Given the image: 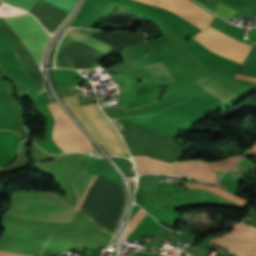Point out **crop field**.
I'll list each match as a JSON object with an SVG mask.
<instances>
[{
    "instance_id": "obj_1",
    "label": "crop field",
    "mask_w": 256,
    "mask_h": 256,
    "mask_svg": "<svg viewBox=\"0 0 256 256\" xmlns=\"http://www.w3.org/2000/svg\"><path fill=\"white\" fill-rule=\"evenodd\" d=\"M11 208L24 212L75 216L77 210L66 200L51 192H18L11 197ZM10 209L6 215L22 219L67 223L73 217L29 214Z\"/></svg>"
},
{
    "instance_id": "obj_2",
    "label": "crop field",
    "mask_w": 256,
    "mask_h": 256,
    "mask_svg": "<svg viewBox=\"0 0 256 256\" xmlns=\"http://www.w3.org/2000/svg\"><path fill=\"white\" fill-rule=\"evenodd\" d=\"M65 104L76 114V116L81 120V122L84 124V126L87 128V130L90 132V134L94 137V139L99 142L102 147L110 154V155H115V154H124L128 153L126 150V147L118 135L116 129L112 126V124L107 120V118L104 116V114L101 112L99 109L98 103L95 104H89V105H83V109L80 106L78 100L76 97H66L63 98Z\"/></svg>"
},
{
    "instance_id": "obj_3",
    "label": "crop field",
    "mask_w": 256,
    "mask_h": 256,
    "mask_svg": "<svg viewBox=\"0 0 256 256\" xmlns=\"http://www.w3.org/2000/svg\"><path fill=\"white\" fill-rule=\"evenodd\" d=\"M53 113L56 123L52 132V138L56 144L65 152L83 151L93 149L92 144L74 124V122L62 111L59 105L54 102L48 104Z\"/></svg>"
},
{
    "instance_id": "obj_4",
    "label": "crop field",
    "mask_w": 256,
    "mask_h": 256,
    "mask_svg": "<svg viewBox=\"0 0 256 256\" xmlns=\"http://www.w3.org/2000/svg\"><path fill=\"white\" fill-rule=\"evenodd\" d=\"M3 19L14 30L39 66L44 47L50 38L44 28L33 16L27 13Z\"/></svg>"
},
{
    "instance_id": "obj_5",
    "label": "crop field",
    "mask_w": 256,
    "mask_h": 256,
    "mask_svg": "<svg viewBox=\"0 0 256 256\" xmlns=\"http://www.w3.org/2000/svg\"><path fill=\"white\" fill-rule=\"evenodd\" d=\"M192 39L218 55L241 64H243L250 49V46L240 43L209 26Z\"/></svg>"
},
{
    "instance_id": "obj_6",
    "label": "crop field",
    "mask_w": 256,
    "mask_h": 256,
    "mask_svg": "<svg viewBox=\"0 0 256 256\" xmlns=\"http://www.w3.org/2000/svg\"><path fill=\"white\" fill-rule=\"evenodd\" d=\"M211 244L237 256L256 253V227L239 223L230 232L211 241Z\"/></svg>"
},
{
    "instance_id": "obj_7",
    "label": "crop field",
    "mask_w": 256,
    "mask_h": 256,
    "mask_svg": "<svg viewBox=\"0 0 256 256\" xmlns=\"http://www.w3.org/2000/svg\"><path fill=\"white\" fill-rule=\"evenodd\" d=\"M155 6L176 12L197 33L203 31L213 17L190 0H158Z\"/></svg>"
},
{
    "instance_id": "obj_8",
    "label": "crop field",
    "mask_w": 256,
    "mask_h": 256,
    "mask_svg": "<svg viewBox=\"0 0 256 256\" xmlns=\"http://www.w3.org/2000/svg\"><path fill=\"white\" fill-rule=\"evenodd\" d=\"M237 159L234 156L215 163H202L198 160L175 162L171 164V173L190 176L201 181L214 182L215 171L232 168Z\"/></svg>"
},
{
    "instance_id": "obj_9",
    "label": "crop field",
    "mask_w": 256,
    "mask_h": 256,
    "mask_svg": "<svg viewBox=\"0 0 256 256\" xmlns=\"http://www.w3.org/2000/svg\"><path fill=\"white\" fill-rule=\"evenodd\" d=\"M96 177V175H93V174H90L88 173L86 170L80 174L75 180L74 182L72 183V188L74 189L76 195H77V202L76 204L74 205L77 209H79V206H80V203H81V200H82V197H83V194H84V191L85 189L88 187V185L94 180V178ZM100 177L97 176L95 178V180L89 185V187L86 189L85 191V194H84V197H83V200H82V203H81V206H80V211H84V208H85V204H86V201H87V198H88V194H89V191L90 189L93 187V185L98 181ZM123 189V193H124V201H123V207L117 217V220H116V223H115V226H114V229L112 231L111 234H114L115 230L117 229V226H118V222H119V219H120V216H121V213L125 207V204H126V191L124 188Z\"/></svg>"
},
{
    "instance_id": "obj_10",
    "label": "crop field",
    "mask_w": 256,
    "mask_h": 256,
    "mask_svg": "<svg viewBox=\"0 0 256 256\" xmlns=\"http://www.w3.org/2000/svg\"><path fill=\"white\" fill-rule=\"evenodd\" d=\"M77 32H78V30H76L74 28L68 29V31L66 32V34L62 38V40H61V42H60V44L58 46L56 57H55V66L56 67H58V65L56 64V61H57V56H58L59 48H60V46H61L65 36L68 35V36L73 38ZM83 35H84V33L79 31L77 33V35L74 37V39L79 41ZM80 42H82V43H84V44H86V45H88V46H90V47H92V48H94V49H96V50L106 54V55H108L111 52H113L114 50H116V49H114V48H112V47H110V46H108V45H106V44H104V43H102V42H100V41H98V40H96V39L86 35V34L83 36V38L80 40Z\"/></svg>"
},
{
    "instance_id": "obj_11",
    "label": "crop field",
    "mask_w": 256,
    "mask_h": 256,
    "mask_svg": "<svg viewBox=\"0 0 256 256\" xmlns=\"http://www.w3.org/2000/svg\"><path fill=\"white\" fill-rule=\"evenodd\" d=\"M194 83L204 90L212 93L224 103L236 96L234 93L210 78L208 75Z\"/></svg>"
},
{
    "instance_id": "obj_12",
    "label": "crop field",
    "mask_w": 256,
    "mask_h": 256,
    "mask_svg": "<svg viewBox=\"0 0 256 256\" xmlns=\"http://www.w3.org/2000/svg\"><path fill=\"white\" fill-rule=\"evenodd\" d=\"M139 172L169 173L170 164L147 156H133Z\"/></svg>"
},
{
    "instance_id": "obj_13",
    "label": "crop field",
    "mask_w": 256,
    "mask_h": 256,
    "mask_svg": "<svg viewBox=\"0 0 256 256\" xmlns=\"http://www.w3.org/2000/svg\"><path fill=\"white\" fill-rule=\"evenodd\" d=\"M162 87L176 80L163 62L144 67Z\"/></svg>"
},
{
    "instance_id": "obj_14",
    "label": "crop field",
    "mask_w": 256,
    "mask_h": 256,
    "mask_svg": "<svg viewBox=\"0 0 256 256\" xmlns=\"http://www.w3.org/2000/svg\"><path fill=\"white\" fill-rule=\"evenodd\" d=\"M187 187L208 189V190H210L212 192H215V193H217V194H219L221 196H224V197H226L228 199H231V200H233V201H235L237 203H240V204H242L244 206L248 203V201H246L244 199H241V198H239L237 196H234V195H232V194H230V193H228V192H226V191H224V190H222L220 188H217V187H211V186L200 185V184H187Z\"/></svg>"
},
{
    "instance_id": "obj_15",
    "label": "crop field",
    "mask_w": 256,
    "mask_h": 256,
    "mask_svg": "<svg viewBox=\"0 0 256 256\" xmlns=\"http://www.w3.org/2000/svg\"><path fill=\"white\" fill-rule=\"evenodd\" d=\"M147 213L141 208L134 216L133 218L129 221L127 231L125 234V239L127 236L132 232V230L138 225V223L144 218V216Z\"/></svg>"
},
{
    "instance_id": "obj_16",
    "label": "crop field",
    "mask_w": 256,
    "mask_h": 256,
    "mask_svg": "<svg viewBox=\"0 0 256 256\" xmlns=\"http://www.w3.org/2000/svg\"><path fill=\"white\" fill-rule=\"evenodd\" d=\"M251 154H256V142L251 146V149L247 150L243 155L241 156H245V155H251ZM240 156V157H241Z\"/></svg>"
},
{
    "instance_id": "obj_17",
    "label": "crop field",
    "mask_w": 256,
    "mask_h": 256,
    "mask_svg": "<svg viewBox=\"0 0 256 256\" xmlns=\"http://www.w3.org/2000/svg\"><path fill=\"white\" fill-rule=\"evenodd\" d=\"M235 78L242 79V80H247V81H251V82H256V78L243 76V75H239V74H237Z\"/></svg>"
},
{
    "instance_id": "obj_18",
    "label": "crop field",
    "mask_w": 256,
    "mask_h": 256,
    "mask_svg": "<svg viewBox=\"0 0 256 256\" xmlns=\"http://www.w3.org/2000/svg\"><path fill=\"white\" fill-rule=\"evenodd\" d=\"M136 1L143 2V3H146V4H149V5H152V6H153V4H155V2H156L157 0H144V1H147V2H150V3H153V4H150V3H147V2H144V1H141V0H136Z\"/></svg>"
},
{
    "instance_id": "obj_19",
    "label": "crop field",
    "mask_w": 256,
    "mask_h": 256,
    "mask_svg": "<svg viewBox=\"0 0 256 256\" xmlns=\"http://www.w3.org/2000/svg\"><path fill=\"white\" fill-rule=\"evenodd\" d=\"M0 17H9V16H7V15H5V14L0 12Z\"/></svg>"
},
{
    "instance_id": "obj_20",
    "label": "crop field",
    "mask_w": 256,
    "mask_h": 256,
    "mask_svg": "<svg viewBox=\"0 0 256 256\" xmlns=\"http://www.w3.org/2000/svg\"><path fill=\"white\" fill-rule=\"evenodd\" d=\"M254 256H256V255H254Z\"/></svg>"
},
{
    "instance_id": "obj_21",
    "label": "crop field",
    "mask_w": 256,
    "mask_h": 256,
    "mask_svg": "<svg viewBox=\"0 0 256 256\" xmlns=\"http://www.w3.org/2000/svg\"><path fill=\"white\" fill-rule=\"evenodd\" d=\"M191 256V255H190Z\"/></svg>"
}]
</instances>
